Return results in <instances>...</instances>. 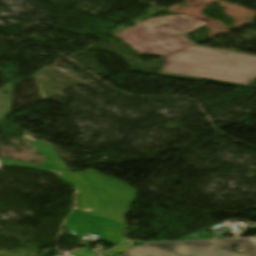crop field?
I'll list each match as a JSON object with an SVG mask.
<instances>
[{
    "label": "crop field",
    "instance_id": "obj_1",
    "mask_svg": "<svg viewBox=\"0 0 256 256\" xmlns=\"http://www.w3.org/2000/svg\"><path fill=\"white\" fill-rule=\"evenodd\" d=\"M32 144L43 153L47 159L46 162L37 165L0 158L2 165L49 172L57 176L72 174L48 144L38 140L32 141ZM76 175L88 183L98 208L93 216L75 211L65 221V226L76 238H80L85 232H89L101 236L102 239L113 245H117L122 227L126 224L124 215L128 213L130 204L136 197L135 189L93 170L77 173Z\"/></svg>",
    "mask_w": 256,
    "mask_h": 256
},
{
    "label": "crop field",
    "instance_id": "obj_2",
    "mask_svg": "<svg viewBox=\"0 0 256 256\" xmlns=\"http://www.w3.org/2000/svg\"><path fill=\"white\" fill-rule=\"evenodd\" d=\"M156 75L195 81L207 77L247 85L256 78V57L191 46L166 56Z\"/></svg>",
    "mask_w": 256,
    "mask_h": 256
},
{
    "label": "crop field",
    "instance_id": "obj_3",
    "mask_svg": "<svg viewBox=\"0 0 256 256\" xmlns=\"http://www.w3.org/2000/svg\"><path fill=\"white\" fill-rule=\"evenodd\" d=\"M166 25L169 27H165ZM203 26L205 25L180 14L151 18L115 36L138 53L166 56L194 45L185 35Z\"/></svg>",
    "mask_w": 256,
    "mask_h": 256
},
{
    "label": "crop field",
    "instance_id": "obj_4",
    "mask_svg": "<svg viewBox=\"0 0 256 256\" xmlns=\"http://www.w3.org/2000/svg\"><path fill=\"white\" fill-rule=\"evenodd\" d=\"M230 247L240 246L237 253L228 247L212 241L143 244L123 251V256H256L252 239L218 240Z\"/></svg>",
    "mask_w": 256,
    "mask_h": 256
},
{
    "label": "crop field",
    "instance_id": "obj_5",
    "mask_svg": "<svg viewBox=\"0 0 256 256\" xmlns=\"http://www.w3.org/2000/svg\"><path fill=\"white\" fill-rule=\"evenodd\" d=\"M72 254L74 256H96V255H98L97 253H95L90 248H83L81 250H77V251L72 252Z\"/></svg>",
    "mask_w": 256,
    "mask_h": 256
},
{
    "label": "crop field",
    "instance_id": "obj_6",
    "mask_svg": "<svg viewBox=\"0 0 256 256\" xmlns=\"http://www.w3.org/2000/svg\"><path fill=\"white\" fill-rule=\"evenodd\" d=\"M133 246H136V245H129V246L119 247V248H116V249H114V250H112V251H109V252H107V253H105V254H103V255H105V256H114V255H118V254L121 253V251H122L123 249L129 248V247H133Z\"/></svg>",
    "mask_w": 256,
    "mask_h": 256
},
{
    "label": "crop field",
    "instance_id": "obj_7",
    "mask_svg": "<svg viewBox=\"0 0 256 256\" xmlns=\"http://www.w3.org/2000/svg\"><path fill=\"white\" fill-rule=\"evenodd\" d=\"M199 235H200L199 238L192 237V238H184V239H182V240L212 238V237H211L209 234H207V233L199 234Z\"/></svg>",
    "mask_w": 256,
    "mask_h": 256
},
{
    "label": "crop field",
    "instance_id": "obj_8",
    "mask_svg": "<svg viewBox=\"0 0 256 256\" xmlns=\"http://www.w3.org/2000/svg\"><path fill=\"white\" fill-rule=\"evenodd\" d=\"M0 167H1V164H0Z\"/></svg>",
    "mask_w": 256,
    "mask_h": 256
}]
</instances>
